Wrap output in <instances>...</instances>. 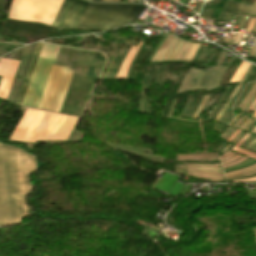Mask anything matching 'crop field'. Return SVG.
Listing matches in <instances>:
<instances>
[{"label": "crop field", "instance_id": "crop-field-27", "mask_svg": "<svg viewBox=\"0 0 256 256\" xmlns=\"http://www.w3.org/2000/svg\"><path fill=\"white\" fill-rule=\"evenodd\" d=\"M182 168H192V169H204V170H216V171H221V169L203 168V167H182Z\"/></svg>", "mask_w": 256, "mask_h": 256}, {"label": "crop field", "instance_id": "crop-field-34", "mask_svg": "<svg viewBox=\"0 0 256 256\" xmlns=\"http://www.w3.org/2000/svg\"><path fill=\"white\" fill-rule=\"evenodd\" d=\"M246 134V132H241L238 136H237V138L232 142V144H234L236 141H238L243 135H245ZM237 143V142H236Z\"/></svg>", "mask_w": 256, "mask_h": 256}, {"label": "crop field", "instance_id": "crop-field-57", "mask_svg": "<svg viewBox=\"0 0 256 256\" xmlns=\"http://www.w3.org/2000/svg\"><path fill=\"white\" fill-rule=\"evenodd\" d=\"M256 171V170H255ZM255 171H252V172H255ZM249 173H251V172H249ZM246 174V173H245Z\"/></svg>", "mask_w": 256, "mask_h": 256}, {"label": "crop field", "instance_id": "crop-field-43", "mask_svg": "<svg viewBox=\"0 0 256 256\" xmlns=\"http://www.w3.org/2000/svg\"><path fill=\"white\" fill-rule=\"evenodd\" d=\"M187 171H190V170H187ZM190 172H198V171H190ZM198 173H205V172H198ZM206 174H212V173H206ZM213 175H220V174H213ZM223 176V175H221Z\"/></svg>", "mask_w": 256, "mask_h": 256}, {"label": "crop field", "instance_id": "crop-field-16", "mask_svg": "<svg viewBox=\"0 0 256 256\" xmlns=\"http://www.w3.org/2000/svg\"><path fill=\"white\" fill-rule=\"evenodd\" d=\"M249 135H250V134L247 133V134L245 135V137H244L239 143L236 144V146L240 147L241 144L246 140V138H247ZM238 147H235V146H234V147L232 148V150L237 151V152H240V153H242V154H244V155H247V156H249V157H252V158H255V159H256V154H255V153L247 152V151H245V150H243V149H241V148H238Z\"/></svg>", "mask_w": 256, "mask_h": 256}, {"label": "crop field", "instance_id": "crop-field-25", "mask_svg": "<svg viewBox=\"0 0 256 256\" xmlns=\"http://www.w3.org/2000/svg\"><path fill=\"white\" fill-rule=\"evenodd\" d=\"M199 158H208V157H178L177 160H188V159L199 160Z\"/></svg>", "mask_w": 256, "mask_h": 256}, {"label": "crop field", "instance_id": "crop-field-4", "mask_svg": "<svg viewBox=\"0 0 256 256\" xmlns=\"http://www.w3.org/2000/svg\"><path fill=\"white\" fill-rule=\"evenodd\" d=\"M63 0H13L9 18L52 25Z\"/></svg>", "mask_w": 256, "mask_h": 256}, {"label": "crop field", "instance_id": "crop-field-39", "mask_svg": "<svg viewBox=\"0 0 256 256\" xmlns=\"http://www.w3.org/2000/svg\"><path fill=\"white\" fill-rule=\"evenodd\" d=\"M255 4H256V2H255ZM255 4H254V6H255ZM254 6H253V8H254ZM253 8H252V10H253ZM252 10H251V12H250L249 16L251 15ZM255 14H256V6H255L254 11H253V13H252V15H251V16H255Z\"/></svg>", "mask_w": 256, "mask_h": 256}, {"label": "crop field", "instance_id": "crop-field-55", "mask_svg": "<svg viewBox=\"0 0 256 256\" xmlns=\"http://www.w3.org/2000/svg\"><path fill=\"white\" fill-rule=\"evenodd\" d=\"M256 131V128L252 131V133H254Z\"/></svg>", "mask_w": 256, "mask_h": 256}, {"label": "crop field", "instance_id": "crop-field-41", "mask_svg": "<svg viewBox=\"0 0 256 256\" xmlns=\"http://www.w3.org/2000/svg\"><path fill=\"white\" fill-rule=\"evenodd\" d=\"M253 137H254V135H251V136L249 137V139L244 143V145L242 146V148H243Z\"/></svg>", "mask_w": 256, "mask_h": 256}, {"label": "crop field", "instance_id": "crop-field-44", "mask_svg": "<svg viewBox=\"0 0 256 256\" xmlns=\"http://www.w3.org/2000/svg\"><path fill=\"white\" fill-rule=\"evenodd\" d=\"M255 107H256V105L253 107V109H254ZM253 109H252V111H253ZM254 112H256V108L254 109ZM252 117L255 118V117H256V113H254Z\"/></svg>", "mask_w": 256, "mask_h": 256}, {"label": "crop field", "instance_id": "crop-field-49", "mask_svg": "<svg viewBox=\"0 0 256 256\" xmlns=\"http://www.w3.org/2000/svg\"><path fill=\"white\" fill-rule=\"evenodd\" d=\"M255 95H256V93L253 95V97H254ZM253 97L250 99V101L253 99ZM250 101H249V102H250ZM249 102H248V103H249ZM248 103H247V104H248ZM246 106H247V105H246ZM246 106H245V107H246ZM245 107H244V108H245ZM243 110H244V109H243ZM243 110H242V111H243Z\"/></svg>", "mask_w": 256, "mask_h": 256}, {"label": "crop field", "instance_id": "crop-field-29", "mask_svg": "<svg viewBox=\"0 0 256 256\" xmlns=\"http://www.w3.org/2000/svg\"><path fill=\"white\" fill-rule=\"evenodd\" d=\"M249 56L256 58V42H255V44H254V46H253Z\"/></svg>", "mask_w": 256, "mask_h": 256}, {"label": "crop field", "instance_id": "crop-field-36", "mask_svg": "<svg viewBox=\"0 0 256 256\" xmlns=\"http://www.w3.org/2000/svg\"><path fill=\"white\" fill-rule=\"evenodd\" d=\"M249 119H250V117L240 126V128H242V127L245 125V123H246ZM251 121H252V120L250 119V120L247 122V124L243 127V129H245Z\"/></svg>", "mask_w": 256, "mask_h": 256}, {"label": "crop field", "instance_id": "crop-field-53", "mask_svg": "<svg viewBox=\"0 0 256 256\" xmlns=\"http://www.w3.org/2000/svg\"><path fill=\"white\" fill-rule=\"evenodd\" d=\"M252 174V173H251ZM246 175H249V174H246ZM242 176H245V175H242ZM238 177H241V176H238ZM234 178H236V177H234ZM229 179H231V178H229Z\"/></svg>", "mask_w": 256, "mask_h": 256}, {"label": "crop field", "instance_id": "crop-field-19", "mask_svg": "<svg viewBox=\"0 0 256 256\" xmlns=\"http://www.w3.org/2000/svg\"><path fill=\"white\" fill-rule=\"evenodd\" d=\"M255 169H256V164L253 165V166H250V167H248V168H245V169H243V170H239V171L227 173V174H225V175L232 174V173H236V172H240V171H243V172L245 173V172H249V171H252V170H255ZM241 173H242V172L236 173V174H232V175H237V174H241ZM232 175H228V176H232ZM228 176H226V177H228Z\"/></svg>", "mask_w": 256, "mask_h": 256}, {"label": "crop field", "instance_id": "crop-field-30", "mask_svg": "<svg viewBox=\"0 0 256 256\" xmlns=\"http://www.w3.org/2000/svg\"><path fill=\"white\" fill-rule=\"evenodd\" d=\"M186 175L195 176V175H191V174H187V173H186ZM195 177H200V176H195ZM200 178H204V179L211 180V181H224L223 179H211V178H205V177H200Z\"/></svg>", "mask_w": 256, "mask_h": 256}, {"label": "crop field", "instance_id": "crop-field-7", "mask_svg": "<svg viewBox=\"0 0 256 256\" xmlns=\"http://www.w3.org/2000/svg\"><path fill=\"white\" fill-rule=\"evenodd\" d=\"M88 2L64 0L52 26L75 29Z\"/></svg>", "mask_w": 256, "mask_h": 256}, {"label": "crop field", "instance_id": "crop-field-11", "mask_svg": "<svg viewBox=\"0 0 256 256\" xmlns=\"http://www.w3.org/2000/svg\"><path fill=\"white\" fill-rule=\"evenodd\" d=\"M42 45L43 44H41V43L37 44V47H36V50H35V53H34V56H33L29 71H28V74L26 76V79H25V82H24V85H23V88H22V91H21V94H20V97H19V100H18V103H17L19 105L22 104L25 92L27 90V87H28V84H29V81H30V78H31V75H32V72H33L34 66L36 64V61H37V58H38V55H39V52H40V49H41Z\"/></svg>", "mask_w": 256, "mask_h": 256}, {"label": "crop field", "instance_id": "crop-field-26", "mask_svg": "<svg viewBox=\"0 0 256 256\" xmlns=\"http://www.w3.org/2000/svg\"><path fill=\"white\" fill-rule=\"evenodd\" d=\"M231 182H256V178L243 179V180H235Z\"/></svg>", "mask_w": 256, "mask_h": 256}, {"label": "crop field", "instance_id": "crop-field-48", "mask_svg": "<svg viewBox=\"0 0 256 256\" xmlns=\"http://www.w3.org/2000/svg\"><path fill=\"white\" fill-rule=\"evenodd\" d=\"M256 99V98H255ZM256 103V100L253 102V104L250 106L249 110H251V108L254 106V104ZM248 110V109H247Z\"/></svg>", "mask_w": 256, "mask_h": 256}, {"label": "crop field", "instance_id": "crop-field-20", "mask_svg": "<svg viewBox=\"0 0 256 256\" xmlns=\"http://www.w3.org/2000/svg\"><path fill=\"white\" fill-rule=\"evenodd\" d=\"M246 150H249V151H252V152H256V136L251 141V143L247 146Z\"/></svg>", "mask_w": 256, "mask_h": 256}, {"label": "crop field", "instance_id": "crop-field-40", "mask_svg": "<svg viewBox=\"0 0 256 256\" xmlns=\"http://www.w3.org/2000/svg\"><path fill=\"white\" fill-rule=\"evenodd\" d=\"M228 151H229V150H228ZM230 153H232V152L229 151V152L225 153L224 155L220 156V159L225 158V157L228 156Z\"/></svg>", "mask_w": 256, "mask_h": 256}, {"label": "crop field", "instance_id": "crop-field-21", "mask_svg": "<svg viewBox=\"0 0 256 256\" xmlns=\"http://www.w3.org/2000/svg\"><path fill=\"white\" fill-rule=\"evenodd\" d=\"M207 98H208V95L204 96V98H203V100H202L200 106L198 107V109H197V111H196V113H195V115H194V118H196V117L200 114V112H201V110H202V108H203V106H204V104H205Z\"/></svg>", "mask_w": 256, "mask_h": 256}, {"label": "crop field", "instance_id": "crop-field-1", "mask_svg": "<svg viewBox=\"0 0 256 256\" xmlns=\"http://www.w3.org/2000/svg\"><path fill=\"white\" fill-rule=\"evenodd\" d=\"M33 172L34 156L0 144V224L19 222L26 217V196L31 192Z\"/></svg>", "mask_w": 256, "mask_h": 256}, {"label": "crop field", "instance_id": "crop-field-17", "mask_svg": "<svg viewBox=\"0 0 256 256\" xmlns=\"http://www.w3.org/2000/svg\"><path fill=\"white\" fill-rule=\"evenodd\" d=\"M256 161L253 160V159H249L247 160L246 162L240 164V165H237V166H234V167H231V168H227V169H224L223 171L226 172V171H232V170H236V169H240V168H244V167H247L249 165H252V164H255Z\"/></svg>", "mask_w": 256, "mask_h": 256}, {"label": "crop field", "instance_id": "crop-field-23", "mask_svg": "<svg viewBox=\"0 0 256 256\" xmlns=\"http://www.w3.org/2000/svg\"><path fill=\"white\" fill-rule=\"evenodd\" d=\"M236 36H237V34H234L231 39L224 38L223 42L228 43V44H233Z\"/></svg>", "mask_w": 256, "mask_h": 256}, {"label": "crop field", "instance_id": "crop-field-35", "mask_svg": "<svg viewBox=\"0 0 256 256\" xmlns=\"http://www.w3.org/2000/svg\"><path fill=\"white\" fill-rule=\"evenodd\" d=\"M192 166H210V167H221L220 165H204V164H191Z\"/></svg>", "mask_w": 256, "mask_h": 256}, {"label": "crop field", "instance_id": "crop-field-45", "mask_svg": "<svg viewBox=\"0 0 256 256\" xmlns=\"http://www.w3.org/2000/svg\"><path fill=\"white\" fill-rule=\"evenodd\" d=\"M230 147H231V145H228L226 148H224V149L222 150V152H225V151L228 150Z\"/></svg>", "mask_w": 256, "mask_h": 256}, {"label": "crop field", "instance_id": "crop-field-14", "mask_svg": "<svg viewBox=\"0 0 256 256\" xmlns=\"http://www.w3.org/2000/svg\"><path fill=\"white\" fill-rule=\"evenodd\" d=\"M251 64L249 65L248 69L246 70L241 82L238 84V86L236 87V89L233 91V93L230 95V97L228 98L227 102L225 103V105L222 107V109L220 110L219 114L217 115V117L215 118V120H218V118L221 116V114L223 113V111L225 110V108L228 106V104L230 103V101L233 99V97L235 96L236 92L238 91V89L240 88L241 84L243 83L244 79L246 78L247 74L249 73L250 69H251Z\"/></svg>", "mask_w": 256, "mask_h": 256}, {"label": "crop field", "instance_id": "crop-field-33", "mask_svg": "<svg viewBox=\"0 0 256 256\" xmlns=\"http://www.w3.org/2000/svg\"><path fill=\"white\" fill-rule=\"evenodd\" d=\"M255 21H256V18H251V19H250L249 24H248V28H247L246 31L249 30V27H250L251 23H253V25H254ZM253 25H252V27H253ZM252 27H251V29H252ZM251 29H250V31H251ZM250 31H249V32H250Z\"/></svg>", "mask_w": 256, "mask_h": 256}, {"label": "crop field", "instance_id": "crop-field-18", "mask_svg": "<svg viewBox=\"0 0 256 256\" xmlns=\"http://www.w3.org/2000/svg\"><path fill=\"white\" fill-rule=\"evenodd\" d=\"M256 91V83L255 85L252 87V89L249 91V93L247 94V96L244 98V100L242 101V103L238 106V108L242 109L243 106L247 103V101L251 98V96L255 93Z\"/></svg>", "mask_w": 256, "mask_h": 256}, {"label": "crop field", "instance_id": "crop-field-28", "mask_svg": "<svg viewBox=\"0 0 256 256\" xmlns=\"http://www.w3.org/2000/svg\"><path fill=\"white\" fill-rule=\"evenodd\" d=\"M244 116H245V115L243 114V115L239 118V120H238L233 126H236V125L241 121V119H242ZM247 117H248V116L246 115V116L242 119V121L237 125V127H239Z\"/></svg>", "mask_w": 256, "mask_h": 256}, {"label": "crop field", "instance_id": "crop-field-8", "mask_svg": "<svg viewBox=\"0 0 256 256\" xmlns=\"http://www.w3.org/2000/svg\"><path fill=\"white\" fill-rule=\"evenodd\" d=\"M19 62L0 59V75L3 76L0 84V97L5 100L7 99Z\"/></svg>", "mask_w": 256, "mask_h": 256}, {"label": "crop field", "instance_id": "crop-field-37", "mask_svg": "<svg viewBox=\"0 0 256 256\" xmlns=\"http://www.w3.org/2000/svg\"><path fill=\"white\" fill-rule=\"evenodd\" d=\"M176 173L185 174V169L176 168Z\"/></svg>", "mask_w": 256, "mask_h": 256}, {"label": "crop field", "instance_id": "crop-field-13", "mask_svg": "<svg viewBox=\"0 0 256 256\" xmlns=\"http://www.w3.org/2000/svg\"><path fill=\"white\" fill-rule=\"evenodd\" d=\"M176 38L172 37V36H167V38L165 39V41L162 43V45L160 46V48L158 49L157 53L155 54V56L153 57L152 61H162V59L164 58V56L166 55L167 51L169 50V48L171 47V45L173 44V42L175 41Z\"/></svg>", "mask_w": 256, "mask_h": 256}, {"label": "crop field", "instance_id": "crop-field-51", "mask_svg": "<svg viewBox=\"0 0 256 256\" xmlns=\"http://www.w3.org/2000/svg\"><path fill=\"white\" fill-rule=\"evenodd\" d=\"M255 31H256V24H255V27H254V29H253V31H252V32H254V33H255Z\"/></svg>", "mask_w": 256, "mask_h": 256}, {"label": "crop field", "instance_id": "crop-field-32", "mask_svg": "<svg viewBox=\"0 0 256 256\" xmlns=\"http://www.w3.org/2000/svg\"><path fill=\"white\" fill-rule=\"evenodd\" d=\"M188 173H190V172H188ZM192 174H196V175H200V176H205V177H212V178H223V177H220V176L204 175V174H198V173H192Z\"/></svg>", "mask_w": 256, "mask_h": 256}, {"label": "crop field", "instance_id": "crop-field-52", "mask_svg": "<svg viewBox=\"0 0 256 256\" xmlns=\"http://www.w3.org/2000/svg\"><path fill=\"white\" fill-rule=\"evenodd\" d=\"M192 170V169H191ZM200 171H204V170H200ZM209 172H216V171H209ZM218 173H222V172H218Z\"/></svg>", "mask_w": 256, "mask_h": 256}, {"label": "crop field", "instance_id": "crop-field-3", "mask_svg": "<svg viewBox=\"0 0 256 256\" xmlns=\"http://www.w3.org/2000/svg\"><path fill=\"white\" fill-rule=\"evenodd\" d=\"M145 5L88 3L76 29L109 30L133 24Z\"/></svg>", "mask_w": 256, "mask_h": 256}, {"label": "crop field", "instance_id": "crop-field-5", "mask_svg": "<svg viewBox=\"0 0 256 256\" xmlns=\"http://www.w3.org/2000/svg\"><path fill=\"white\" fill-rule=\"evenodd\" d=\"M57 46L43 45L37 65L35 67L31 82L29 84L26 96L24 98V106L38 107L44 87L46 85L49 73L51 71L54 59L56 57L54 48Z\"/></svg>", "mask_w": 256, "mask_h": 256}, {"label": "crop field", "instance_id": "crop-field-31", "mask_svg": "<svg viewBox=\"0 0 256 256\" xmlns=\"http://www.w3.org/2000/svg\"><path fill=\"white\" fill-rule=\"evenodd\" d=\"M240 157H242V156L237 154V155L234 156L232 159L223 162L222 165H223V164H226V163H229V162H232V161H234V160H236V159H238V158H240Z\"/></svg>", "mask_w": 256, "mask_h": 256}, {"label": "crop field", "instance_id": "crop-field-47", "mask_svg": "<svg viewBox=\"0 0 256 256\" xmlns=\"http://www.w3.org/2000/svg\"><path fill=\"white\" fill-rule=\"evenodd\" d=\"M102 1L119 2L120 0H102Z\"/></svg>", "mask_w": 256, "mask_h": 256}, {"label": "crop field", "instance_id": "crop-field-12", "mask_svg": "<svg viewBox=\"0 0 256 256\" xmlns=\"http://www.w3.org/2000/svg\"><path fill=\"white\" fill-rule=\"evenodd\" d=\"M141 43H139V45L137 47H134L132 46L131 50L129 51L127 57L125 58L123 64L121 65L119 71H118V74H117V77L116 78H125L126 77V74H127V71H128V68L130 66V63L132 61V59L134 58L135 54L137 53V51L134 50V48H138L140 47Z\"/></svg>", "mask_w": 256, "mask_h": 256}, {"label": "crop field", "instance_id": "crop-field-6", "mask_svg": "<svg viewBox=\"0 0 256 256\" xmlns=\"http://www.w3.org/2000/svg\"><path fill=\"white\" fill-rule=\"evenodd\" d=\"M72 73L68 67L53 66L38 108L60 111Z\"/></svg>", "mask_w": 256, "mask_h": 256}, {"label": "crop field", "instance_id": "crop-field-54", "mask_svg": "<svg viewBox=\"0 0 256 256\" xmlns=\"http://www.w3.org/2000/svg\"><path fill=\"white\" fill-rule=\"evenodd\" d=\"M239 114H240V113H239ZM239 114H238V115H239ZM237 117H238V116H237ZM237 117H236V118H237ZM236 118H235V119H236ZM235 119H234V121H235ZM234 121H233V122H234ZM233 122H232V123H233ZM232 123H231V125H232Z\"/></svg>", "mask_w": 256, "mask_h": 256}, {"label": "crop field", "instance_id": "crop-field-46", "mask_svg": "<svg viewBox=\"0 0 256 256\" xmlns=\"http://www.w3.org/2000/svg\"><path fill=\"white\" fill-rule=\"evenodd\" d=\"M235 154H236V153L233 152L229 157H227V158H225V159H223V160H221V161H224V160H226V159H228V158L234 156Z\"/></svg>", "mask_w": 256, "mask_h": 256}, {"label": "crop field", "instance_id": "crop-field-9", "mask_svg": "<svg viewBox=\"0 0 256 256\" xmlns=\"http://www.w3.org/2000/svg\"><path fill=\"white\" fill-rule=\"evenodd\" d=\"M251 7V4L227 0L218 19L223 21H232L235 15L247 16Z\"/></svg>", "mask_w": 256, "mask_h": 256}, {"label": "crop field", "instance_id": "crop-field-24", "mask_svg": "<svg viewBox=\"0 0 256 256\" xmlns=\"http://www.w3.org/2000/svg\"><path fill=\"white\" fill-rule=\"evenodd\" d=\"M245 19H246V17H243V18H242L241 23H240V25H239V27H238L237 31L239 30V28H241V27H242V25H243V23H244ZM249 19H250V18H247V20H246V22H245V24H244L243 28H246V26H247V24H248Z\"/></svg>", "mask_w": 256, "mask_h": 256}, {"label": "crop field", "instance_id": "crop-field-50", "mask_svg": "<svg viewBox=\"0 0 256 256\" xmlns=\"http://www.w3.org/2000/svg\"><path fill=\"white\" fill-rule=\"evenodd\" d=\"M255 120H256V118H255ZM254 122V121H253ZM253 122L246 128V130H248V128L253 124Z\"/></svg>", "mask_w": 256, "mask_h": 256}, {"label": "crop field", "instance_id": "crop-field-56", "mask_svg": "<svg viewBox=\"0 0 256 256\" xmlns=\"http://www.w3.org/2000/svg\"><path fill=\"white\" fill-rule=\"evenodd\" d=\"M254 232H255V237H256V229H254Z\"/></svg>", "mask_w": 256, "mask_h": 256}, {"label": "crop field", "instance_id": "crop-field-42", "mask_svg": "<svg viewBox=\"0 0 256 256\" xmlns=\"http://www.w3.org/2000/svg\"><path fill=\"white\" fill-rule=\"evenodd\" d=\"M241 36H242V34H239V35H238V37H237V39H236V41H235V43H234V44H236V45L238 44V42H239V40H240Z\"/></svg>", "mask_w": 256, "mask_h": 256}, {"label": "crop field", "instance_id": "crop-field-22", "mask_svg": "<svg viewBox=\"0 0 256 256\" xmlns=\"http://www.w3.org/2000/svg\"><path fill=\"white\" fill-rule=\"evenodd\" d=\"M247 159H248V157L244 156V157L240 158L239 160H237L236 162H234V163H232V164L224 165V166H222V167L225 168V167L237 165V164H239V163H241V162H243V161H245V160H247Z\"/></svg>", "mask_w": 256, "mask_h": 256}, {"label": "crop field", "instance_id": "crop-field-10", "mask_svg": "<svg viewBox=\"0 0 256 256\" xmlns=\"http://www.w3.org/2000/svg\"><path fill=\"white\" fill-rule=\"evenodd\" d=\"M177 39H178V38H177ZM177 39H176V41L174 42L173 46L171 47V49L169 50V52L167 53V55H166V57L164 58L163 61H165V59L167 58V56H168L169 53L171 52L172 48L174 47V45H175L176 42H177ZM179 40H180V39H179ZM179 40H178L177 44L179 43ZM180 43H181V41H180ZM180 43L178 44V46L180 45ZM177 44L175 45V47L177 46ZM182 44H183V42L181 43V45L179 46V48H178V46L176 47V49L178 48L177 51H176L175 47L173 48V50H174V49H175V50H174V52H173V50H172V52H173V53L171 52L172 55H171V53H170L171 57L173 56V54L175 53V51H176V53L174 54V56L172 57V59L175 57V55L177 54V52H178V50L180 49V47L182 46ZM200 44H201V43H194V45H193V43L184 42L183 46L181 47V49L179 50L178 54H177L176 57L173 59V61H184L186 55L188 54L189 50L191 49V47H192V45H193L192 49L190 50L189 54L187 55V57H186V59H185V61H192V59H193L194 55L196 54V52H197V50H198ZM170 55H169V56H170ZM169 56H168V58H169ZM171 57H170V59H171ZM168 58L166 59V61L168 60ZM170 59H169V61H170ZM172 59H171V61H172Z\"/></svg>", "mask_w": 256, "mask_h": 256}, {"label": "crop field", "instance_id": "crop-field-2", "mask_svg": "<svg viewBox=\"0 0 256 256\" xmlns=\"http://www.w3.org/2000/svg\"><path fill=\"white\" fill-rule=\"evenodd\" d=\"M79 118L28 108L10 141L67 140Z\"/></svg>", "mask_w": 256, "mask_h": 256}, {"label": "crop field", "instance_id": "crop-field-15", "mask_svg": "<svg viewBox=\"0 0 256 256\" xmlns=\"http://www.w3.org/2000/svg\"><path fill=\"white\" fill-rule=\"evenodd\" d=\"M247 66H248V63L242 61V63L240 64V66L238 67L236 72L234 73L230 83L239 82V80L242 78Z\"/></svg>", "mask_w": 256, "mask_h": 256}, {"label": "crop field", "instance_id": "crop-field-58", "mask_svg": "<svg viewBox=\"0 0 256 256\" xmlns=\"http://www.w3.org/2000/svg\"><path fill=\"white\" fill-rule=\"evenodd\" d=\"M95 1H101V0H95Z\"/></svg>", "mask_w": 256, "mask_h": 256}, {"label": "crop field", "instance_id": "crop-field-38", "mask_svg": "<svg viewBox=\"0 0 256 256\" xmlns=\"http://www.w3.org/2000/svg\"><path fill=\"white\" fill-rule=\"evenodd\" d=\"M177 156H197V155H177ZM198 156H212L210 154H200Z\"/></svg>", "mask_w": 256, "mask_h": 256}]
</instances>
